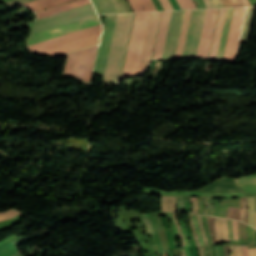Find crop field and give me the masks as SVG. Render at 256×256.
Masks as SVG:
<instances>
[{
    "label": "crop field",
    "instance_id": "obj_1",
    "mask_svg": "<svg viewBox=\"0 0 256 256\" xmlns=\"http://www.w3.org/2000/svg\"><path fill=\"white\" fill-rule=\"evenodd\" d=\"M134 13L117 14L103 85L120 79Z\"/></svg>",
    "mask_w": 256,
    "mask_h": 256
},
{
    "label": "crop field",
    "instance_id": "obj_2",
    "mask_svg": "<svg viewBox=\"0 0 256 256\" xmlns=\"http://www.w3.org/2000/svg\"><path fill=\"white\" fill-rule=\"evenodd\" d=\"M150 13H135L122 76L136 74Z\"/></svg>",
    "mask_w": 256,
    "mask_h": 256
},
{
    "label": "crop field",
    "instance_id": "obj_3",
    "mask_svg": "<svg viewBox=\"0 0 256 256\" xmlns=\"http://www.w3.org/2000/svg\"><path fill=\"white\" fill-rule=\"evenodd\" d=\"M92 3L80 6L65 12H61L49 17H45L30 23L28 26L32 29V33L59 26L68 22L82 19L95 15Z\"/></svg>",
    "mask_w": 256,
    "mask_h": 256
},
{
    "label": "crop field",
    "instance_id": "obj_4",
    "mask_svg": "<svg viewBox=\"0 0 256 256\" xmlns=\"http://www.w3.org/2000/svg\"><path fill=\"white\" fill-rule=\"evenodd\" d=\"M146 193L151 194H159L166 196H179V195H194V196H207V197H243L245 194L241 191V189L234 183L233 179L230 178H222L219 179L203 188H200L197 191L200 192H241L237 194H216V195H230V196H212L206 195L207 193H199V192H162L161 190H155L151 188H143Z\"/></svg>",
    "mask_w": 256,
    "mask_h": 256
},
{
    "label": "crop field",
    "instance_id": "obj_5",
    "mask_svg": "<svg viewBox=\"0 0 256 256\" xmlns=\"http://www.w3.org/2000/svg\"><path fill=\"white\" fill-rule=\"evenodd\" d=\"M96 48L97 46L69 54L64 73L73 74L89 82Z\"/></svg>",
    "mask_w": 256,
    "mask_h": 256
},
{
    "label": "crop field",
    "instance_id": "obj_6",
    "mask_svg": "<svg viewBox=\"0 0 256 256\" xmlns=\"http://www.w3.org/2000/svg\"><path fill=\"white\" fill-rule=\"evenodd\" d=\"M97 16L88 17L82 20H78L72 23H68L59 27H55L49 30H45L39 33L30 35L27 40L28 45L37 43L43 40H47L56 36H60L69 32H73L79 29H83L92 25L99 24Z\"/></svg>",
    "mask_w": 256,
    "mask_h": 256
},
{
    "label": "crop field",
    "instance_id": "obj_7",
    "mask_svg": "<svg viewBox=\"0 0 256 256\" xmlns=\"http://www.w3.org/2000/svg\"><path fill=\"white\" fill-rule=\"evenodd\" d=\"M206 10H193L183 57L196 56Z\"/></svg>",
    "mask_w": 256,
    "mask_h": 256
},
{
    "label": "crop field",
    "instance_id": "obj_8",
    "mask_svg": "<svg viewBox=\"0 0 256 256\" xmlns=\"http://www.w3.org/2000/svg\"><path fill=\"white\" fill-rule=\"evenodd\" d=\"M161 12H151L137 74H143L152 54Z\"/></svg>",
    "mask_w": 256,
    "mask_h": 256
},
{
    "label": "crop field",
    "instance_id": "obj_9",
    "mask_svg": "<svg viewBox=\"0 0 256 256\" xmlns=\"http://www.w3.org/2000/svg\"><path fill=\"white\" fill-rule=\"evenodd\" d=\"M185 11H173L162 59L169 60L175 56L179 34Z\"/></svg>",
    "mask_w": 256,
    "mask_h": 256
},
{
    "label": "crop field",
    "instance_id": "obj_10",
    "mask_svg": "<svg viewBox=\"0 0 256 256\" xmlns=\"http://www.w3.org/2000/svg\"><path fill=\"white\" fill-rule=\"evenodd\" d=\"M245 8H234L223 59L233 60L236 53Z\"/></svg>",
    "mask_w": 256,
    "mask_h": 256
},
{
    "label": "crop field",
    "instance_id": "obj_11",
    "mask_svg": "<svg viewBox=\"0 0 256 256\" xmlns=\"http://www.w3.org/2000/svg\"><path fill=\"white\" fill-rule=\"evenodd\" d=\"M116 14L107 15L94 74L103 76Z\"/></svg>",
    "mask_w": 256,
    "mask_h": 256
},
{
    "label": "crop field",
    "instance_id": "obj_12",
    "mask_svg": "<svg viewBox=\"0 0 256 256\" xmlns=\"http://www.w3.org/2000/svg\"><path fill=\"white\" fill-rule=\"evenodd\" d=\"M101 24L99 25H96V26H93V27H97V26H100ZM93 27H90V28H93ZM90 28H86V29H83V30H87V29H90ZM100 27H97V28H93V29H90V30H87V31H84V32H80V31H83V30H80V31H77V32H80V33H77V32H74V33H77V34H74V33H71V34H74V35H70V36H67V35H64V36H67V37H64V36H61V37H64V38H61V37H58V38H61V39H57V40H54V41H51V42H48V43H44V44H41V45H38V46H34V47H31V51L33 53H38V52H41V51H45V50H48V49H51V48H55V47H58V46H61V45H65V44H68V43H71V42H75V41H78V40H81V39H85V38H88V37H91V36H95V35H98L99 32H100ZM47 42V41H46Z\"/></svg>",
    "mask_w": 256,
    "mask_h": 256
},
{
    "label": "crop field",
    "instance_id": "obj_13",
    "mask_svg": "<svg viewBox=\"0 0 256 256\" xmlns=\"http://www.w3.org/2000/svg\"><path fill=\"white\" fill-rule=\"evenodd\" d=\"M218 9L207 10L197 56L208 57Z\"/></svg>",
    "mask_w": 256,
    "mask_h": 256
},
{
    "label": "crop field",
    "instance_id": "obj_14",
    "mask_svg": "<svg viewBox=\"0 0 256 256\" xmlns=\"http://www.w3.org/2000/svg\"><path fill=\"white\" fill-rule=\"evenodd\" d=\"M172 11L163 12L153 58L161 59Z\"/></svg>",
    "mask_w": 256,
    "mask_h": 256
},
{
    "label": "crop field",
    "instance_id": "obj_15",
    "mask_svg": "<svg viewBox=\"0 0 256 256\" xmlns=\"http://www.w3.org/2000/svg\"><path fill=\"white\" fill-rule=\"evenodd\" d=\"M98 37H99V35L95 36V37L85 39V40H82V41H79V42H75V43H72V44H69V45H66V46H63V47H59V48H56V49H53V50H50V51H47V52H43V53H40V54L57 56V55H61V54L68 53V52H71V51H75V50H78V49H82V48H85V47H89V46H92V45H96L97 42H98Z\"/></svg>",
    "mask_w": 256,
    "mask_h": 256
},
{
    "label": "crop field",
    "instance_id": "obj_16",
    "mask_svg": "<svg viewBox=\"0 0 256 256\" xmlns=\"http://www.w3.org/2000/svg\"><path fill=\"white\" fill-rule=\"evenodd\" d=\"M90 2H91L90 0H77V1L70 2V3L64 4V5H60V6H57L54 8H50V9H47L44 11L37 12L36 14L39 19V18L49 16V15H52V14H55V13H58V12H61L64 10H68V9H71V8H74V7H77L80 5H84V4H87Z\"/></svg>",
    "mask_w": 256,
    "mask_h": 256
},
{
    "label": "crop field",
    "instance_id": "obj_17",
    "mask_svg": "<svg viewBox=\"0 0 256 256\" xmlns=\"http://www.w3.org/2000/svg\"><path fill=\"white\" fill-rule=\"evenodd\" d=\"M227 218L240 220L247 223V199H240V208L229 207Z\"/></svg>",
    "mask_w": 256,
    "mask_h": 256
},
{
    "label": "crop field",
    "instance_id": "obj_18",
    "mask_svg": "<svg viewBox=\"0 0 256 256\" xmlns=\"http://www.w3.org/2000/svg\"><path fill=\"white\" fill-rule=\"evenodd\" d=\"M73 0H35L29 3L22 4L35 12L44 10L53 6H57L66 2H70Z\"/></svg>",
    "mask_w": 256,
    "mask_h": 256
},
{
    "label": "crop field",
    "instance_id": "obj_19",
    "mask_svg": "<svg viewBox=\"0 0 256 256\" xmlns=\"http://www.w3.org/2000/svg\"><path fill=\"white\" fill-rule=\"evenodd\" d=\"M233 8L227 9L216 58L222 59Z\"/></svg>",
    "mask_w": 256,
    "mask_h": 256
},
{
    "label": "crop field",
    "instance_id": "obj_20",
    "mask_svg": "<svg viewBox=\"0 0 256 256\" xmlns=\"http://www.w3.org/2000/svg\"><path fill=\"white\" fill-rule=\"evenodd\" d=\"M213 221V230L216 241H225L228 240L227 229H226V220L223 218H214Z\"/></svg>",
    "mask_w": 256,
    "mask_h": 256
},
{
    "label": "crop field",
    "instance_id": "obj_21",
    "mask_svg": "<svg viewBox=\"0 0 256 256\" xmlns=\"http://www.w3.org/2000/svg\"><path fill=\"white\" fill-rule=\"evenodd\" d=\"M226 9H220L209 58H215Z\"/></svg>",
    "mask_w": 256,
    "mask_h": 256
},
{
    "label": "crop field",
    "instance_id": "obj_22",
    "mask_svg": "<svg viewBox=\"0 0 256 256\" xmlns=\"http://www.w3.org/2000/svg\"><path fill=\"white\" fill-rule=\"evenodd\" d=\"M191 12H192V10H189V11H186V13H185V17H184V21H183V26H182L181 35H180V39H179L178 48H177L175 58L181 57V55H182V51H183V47H184V42H185V38H186V33H187L188 25H189Z\"/></svg>",
    "mask_w": 256,
    "mask_h": 256
},
{
    "label": "crop field",
    "instance_id": "obj_23",
    "mask_svg": "<svg viewBox=\"0 0 256 256\" xmlns=\"http://www.w3.org/2000/svg\"><path fill=\"white\" fill-rule=\"evenodd\" d=\"M254 9L255 7L247 8L240 42L248 41L252 20H253Z\"/></svg>",
    "mask_w": 256,
    "mask_h": 256
},
{
    "label": "crop field",
    "instance_id": "obj_24",
    "mask_svg": "<svg viewBox=\"0 0 256 256\" xmlns=\"http://www.w3.org/2000/svg\"><path fill=\"white\" fill-rule=\"evenodd\" d=\"M134 12L155 11L152 0H128Z\"/></svg>",
    "mask_w": 256,
    "mask_h": 256
},
{
    "label": "crop field",
    "instance_id": "obj_25",
    "mask_svg": "<svg viewBox=\"0 0 256 256\" xmlns=\"http://www.w3.org/2000/svg\"><path fill=\"white\" fill-rule=\"evenodd\" d=\"M239 239L255 241V229L238 222Z\"/></svg>",
    "mask_w": 256,
    "mask_h": 256
},
{
    "label": "crop field",
    "instance_id": "obj_26",
    "mask_svg": "<svg viewBox=\"0 0 256 256\" xmlns=\"http://www.w3.org/2000/svg\"><path fill=\"white\" fill-rule=\"evenodd\" d=\"M93 2L99 14L116 13L110 0H93Z\"/></svg>",
    "mask_w": 256,
    "mask_h": 256
},
{
    "label": "crop field",
    "instance_id": "obj_27",
    "mask_svg": "<svg viewBox=\"0 0 256 256\" xmlns=\"http://www.w3.org/2000/svg\"><path fill=\"white\" fill-rule=\"evenodd\" d=\"M248 199V224L252 225L254 227V221H255V201L254 197H247Z\"/></svg>",
    "mask_w": 256,
    "mask_h": 256
},
{
    "label": "crop field",
    "instance_id": "obj_28",
    "mask_svg": "<svg viewBox=\"0 0 256 256\" xmlns=\"http://www.w3.org/2000/svg\"><path fill=\"white\" fill-rule=\"evenodd\" d=\"M118 13L131 12L126 0H111Z\"/></svg>",
    "mask_w": 256,
    "mask_h": 256
},
{
    "label": "crop field",
    "instance_id": "obj_29",
    "mask_svg": "<svg viewBox=\"0 0 256 256\" xmlns=\"http://www.w3.org/2000/svg\"><path fill=\"white\" fill-rule=\"evenodd\" d=\"M188 219H189V223H190V227H191L192 234H193V236H194V239H195V242H196V245H197V249H198V252H199V256H204L202 247L200 246V243H199L198 235H197V233L195 232L194 226H193V224H192V218H191V215H190V214H188Z\"/></svg>",
    "mask_w": 256,
    "mask_h": 256
},
{
    "label": "crop field",
    "instance_id": "obj_30",
    "mask_svg": "<svg viewBox=\"0 0 256 256\" xmlns=\"http://www.w3.org/2000/svg\"><path fill=\"white\" fill-rule=\"evenodd\" d=\"M17 214H21V213L17 212L14 209L8 210L5 212H1L0 213V221L11 219V218L15 217V215H17Z\"/></svg>",
    "mask_w": 256,
    "mask_h": 256
},
{
    "label": "crop field",
    "instance_id": "obj_31",
    "mask_svg": "<svg viewBox=\"0 0 256 256\" xmlns=\"http://www.w3.org/2000/svg\"><path fill=\"white\" fill-rule=\"evenodd\" d=\"M181 9H194L196 8L193 0H177Z\"/></svg>",
    "mask_w": 256,
    "mask_h": 256
},
{
    "label": "crop field",
    "instance_id": "obj_32",
    "mask_svg": "<svg viewBox=\"0 0 256 256\" xmlns=\"http://www.w3.org/2000/svg\"><path fill=\"white\" fill-rule=\"evenodd\" d=\"M244 193H255L256 192V184H237Z\"/></svg>",
    "mask_w": 256,
    "mask_h": 256
},
{
    "label": "crop field",
    "instance_id": "obj_33",
    "mask_svg": "<svg viewBox=\"0 0 256 256\" xmlns=\"http://www.w3.org/2000/svg\"><path fill=\"white\" fill-rule=\"evenodd\" d=\"M236 183L256 182V175H248L234 179Z\"/></svg>",
    "mask_w": 256,
    "mask_h": 256
},
{
    "label": "crop field",
    "instance_id": "obj_34",
    "mask_svg": "<svg viewBox=\"0 0 256 256\" xmlns=\"http://www.w3.org/2000/svg\"><path fill=\"white\" fill-rule=\"evenodd\" d=\"M142 216H143V219H144V222H145V226L147 228L148 235L154 234L155 232L152 228L149 216L148 215H142Z\"/></svg>",
    "mask_w": 256,
    "mask_h": 256
},
{
    "label": "crop field",
    "instance_id": "obj_35",
    "mask_svg": "<svg viewBox=\"0 0 256 256\" xmlns=\"http://www.w3.org/2000/svg\"><path fill=\"white\" fill-rule=\"evenodd\" d=\"M180 224H181V229H182V231H183V235H184V237H185V239H186V242H187V247L184 248V249H185V252H186V255H187V256H191V254H190L189 242H188V237H187V233H186V229H185V226H184L183 221H181Z\"/></svg>",
    "mask_w": 256,
    "mask_h": 256
},
{
    "label": "crop field",
    "instance_id": "obj_36",
    "mask_svg": "<svg viewBox=\"0 0 256 256\" xmlns=\"http://www.w3.org/2000/svg\"><path fill=\"white\" fill-rule=\"evenodd\" d=\"M207 8H216V7H222L219 0H204Z\"/></svg>",
    "mask_w": 256,
    "mask_h": 256
},
{
    "label": "crop field",
    "instance_id": "obj_37",
    "mask_svg": "<svg viewBox=\"0 0 256 256\" xmlns=\"http://www.w3.org/2000/svg\"><path fill=\"white\" fill-rule=\"evenodd\" d=\"M172 214H173L174 220H175V222L177 224V227H178V231H179V235H180V240H181V245H182V247H184L185 246V242H184V239H183V236H182V232H181L179 223H178L177 218H176V214L175 213H172Z\"/></svg>",
    "mask_w": 256,
    "mask_h": 256
},
{
    "label": "crop field",
    "instance_id": "obj_38",
    "mask_svg": "<svg viewBox=\"0 0 256 256\" xmlns=\"http://www.w3.org/2000/svg\"><path fill=\"white\" fill-rule=\"evenodd\" d=\"M197 218H198V222H199V226H200V230H201V233H202L204 244L208 245L207 239H206V236H205V233H204V229H203V226H202L201 216H197Z\"/></svg>",
    "mask_w": 256,
    "mask_h": 256
},
{
    "label": "crop field",
    "instance_id": "obj_39",
    "mask_svg": "<svg viewBox=\"0 0 256 256\" xmlns=\"http://www.w3.org/2000/svg\"><path fill=\"white\" fill-rule=\"evenodd\" d=\"M29 1H32V0H13V1L6 2V4L13 7V6H16V5L25 3V2H29Z\"/></svg>",
    "mask_w": 256,
    "mask_h": 256
},
{
    "label": "crop field",
    "instance_id": "obj_40",
    "mask_svg": "<svg viewBox=\"0 0 256 256\" xmlns=\"http://www.w3.org/2000/svg\"><path fill=\"white\" fill-rule=\"evenodd\" d=\"M202 220H203L206 236H207V239H208V243L212 244L211 239H210V235H209V231H208V227H207L206 217L202 216Z\"/></svg>",
    "mask_w": 256,
    "mask_h": 256
},
{
    "label": "crop field",
    "instance_id": "obj_41",
    "mask_svg": "<svg viewBox=\"0 0 256 256\" xmlns=\"http://www.w3.org/2000/svg\"><path fill=\"white\" fill-rule=\"evenodd\" d=\"M168 199H169V197L163 196V198H162V211H169Z\"/></svg>",
    "mask_w": 256,
    "mask_h": 256
},
{
    "label": "crop field",
    "instance_id": "obj_42",
    "mask_svg": "<svg viewBox=\"0 0 256 256\" xmlns=\"http://www.w3.org/2000/svg\"><path fill=\"white\" fill-rule=\"evenodd\" d=\"M206 202H207V209H206L205 215H211V213H212V200H211V198H207Z\"/></svg>",
    "mask_w": 256,
    "mask_h": 256
},
{
    "label": "crop field",
    "instance_id": "obj_43",
    "mask_svg": "<svg viewBox=\"0 0 256 256\" xmlns=\"http://www.w3.org/2000/svg\"><path fill=\"white\" fill-rule=\"evenodd\" d=\"M164 10H173L169 0H160Z\"/></svg>",
    "mask_w": 256,
    "mask_h": 256
},
{
    "label": "crop field",
    "instance_id": "obj_44",
    "mask_svg": "<svg viewBox=\"0 0 256 256\" xmlns=\"http://www.w3.org/2000/svg\"><path fill=\"white\" fill-rule=\"evenodd\" d=\"M192 217H193L195 229H196V231L198 232V235H199L200 243H201V245H204L203 242H202V237H201V233H200V230H199L197 221H196V217H195V215H193V214H192Z\"/></svg>",
    "mask_w": 256,
    "mask_h": 256
},
{
    "label": "crop field",
    "instance_id": "obj_45",
    "mask_svg": "<svg viewBox=\"0 0 256 256\" xmlns=\"http://www.w3.org/2000/svg\"><path fill=\"white\" fill-rule=\"evenodd\" d=\"M227 229H228L229 240H234L232 227H231V220H227Z\"/></svg>",
    "mask_w": 256,
    "mask_h": 256
},
{
    "label": "crop field",
    "instance_id": "obj_46",
    "mask_svg": "<svg viewBox=\"0 0 256 256\" xmlns=\"http://www.w3.org/2000/svg\"><path fill=\"white\" fill-rule=\"evenodd\" d=\"M176 198L177 197H170V211H175L176 209Z\"/></svg>",
    "mask_w": 256,
    "mask_h": 256
},
{
    "label": "crop field",
    "instance_id": "obj_47",
    "mask_svg": "<svg viewBox=\"0 0 256 256\" xmlns=\"http://www.w3.org/2000/svg\"><path fill=\"white\" fill-rule=\"evenodd\" d=\"M207 222H208V227H209L211 239H212L213 243L216 244L215 238H214L213 232H212V227H211V217H207Z\"/></svg>",
    "mask_w": 256,
    "mask_h": 256
},
{
    "label": "crop field",
    "instance_id": "obj_48",
    "mask_svg": "<svg viewBox=\"0 0 256 256\" xmlns=\"http://www.w3.org/2000/svg\"><path fill=\"white\" fill-rule=\"evenodd\" d=\"M184 196L178 197V211H183Z\"/></svg>",
    "mask_w": 256,
    "mask_h": 256
},
{
    "label": "crop field",
    "instance_id": "obj_49",
    "mask_svg": "<svg viewBox=\"0 0 256 256\" xmlns=\"http://www.w3.org/2000/svg\"><path fill=\"white\" fill-rule=\"evenodd\" d=\"M232 7H239V6H243L241 0H229Z\"/></svg>",
    "mask_w": 256,
    "mask_h": 256
},
{
    "label": "crop field",
    "instance_id": "obj_50",
    "mask_svg": "<svg viewBox=\"0 0 256 256\" xmlns=\"http://www.w3.org/2000/svg\"><path fill=\"white\" fill-rule=\"evenodd\" d=\"M233 230H234V238L238 239L237 237V222L233 220Z\"/></svg>",
    "mask_w": 256,
    "mask_h": 256
},
{
    "label": "crop field",
    "instance_id": "obj_51",
    "mask_svg": "<svg viewBox=\"0 0 256 256\" xmlns=\"http://www.w3.org/2000/svg\"><path fill=\"white\" fill-rule=\"evenodd\" d=\"M15 237L16 236L11 235V236H8V237L4 238L3 240L0 241V245L5 243V242H7V241H9V240H11V239H13V238H15Z\"/></svg>",
    "mask_w": 256,
    "mask_h": 256
},
{
    "label": "crop field",
    "instance_id": "obj_52",
    "mask_svg": "<svg viewBox=\"0 0 256 256\" xmlns=\"http://www.w3.org/2000/svg\"><path fill=\"white\" fill-rule=\"evenodd\" d=\"M236 256H242L241 246L236 245Z\"/></svg>",
    "mask_w": 256,
    "mask_h": 256
},
{
    "label": "crop field",
    "instance_id": "obj_53",
    "mask_svg": "<svg viewBox=\"0 0 256 256\" xmlns=\"http://www.w3.org/2000/svg\"><path fill=\"white\" fill-rule=\"evenodd\" d=\"M192 212L193 213L197 212V201H192Z\"/></svg>",
    "mask_w": 256,
    "mask_h": 256
},
{
    "label": "crop field",
    "instance_id": "obj_54",
    "mask_svg": "<svg viewBox=\"0 0 256 256\" xmlns=\"http://www.w3.org/2000/svg\"><path fill=\"white\" fill-rule=\"evenodd\" d=\"M168 214H169V217H170V219H171V222H172V224H173V226H174V228H175V231H176V235H177V237H179V236H178V231H177V228H176V226H175V224H174V220H173V217H172L171 213H168Z\"/></svg>",
    "mask_w": 256,
    "mask_h": 256
},
{
    "label": "crop field",
    "instance_id": "obj_55",
    "mask_svg": "<svg viewBox=\"0 0 256 256\" xmlns=\"http://www.w3.org/2000/svg\"><path fill=\"white\" fill-rule=\"evenodd\" d=\"M217 254H218V256H223V251H222V247L221 246L217 247Z\"/></svg>",
    "mask_w": 256,
    "mask_h": 256
},
{
    "label": "crop field",
    "instance_id": "obj_56",
    "mask_svg": "<svg viewBox=\"0 0 256 256\" xmlns=\"http://www.w3.org/2000/svg\"><path fill=\"white\" fill-rule=\"evenodd\" d=\"M210 250H211V255L212 256H217V254H216V246L215 247H211Z\"/></svg>",
    "mask_w": 256,
    "mask_h": 256
},
{
    "label": "crop field",
    "instance_id": "obj_57",
    "mask_svg": "<svg viewBox=\"0 0 256 256\" xmlns=\"http://www.w3.org/2000/svg\"><path fill=\"white\" fill-rule=\"evenodd\" d=\"M221 1L223 3L224 7H231V5H230L228 0H221Z\"/></svg>",
    "mask_w": 256,
    "mask_h": 256
},
{
    "label": "crop field",
    "instance_id": "obj_58",
    "mask_svg": "<svg viewBox=\"0 0 256 256\" xmlns=\"http://www.w3.org/2000/svg\"><path fill=\"white\" fill-rule=\"evenodd\" d=\"M231 256H235V245L230 246Z\"/></svg>",
    "mask_w": 256,
    "mask_h": 256
},
{
    "label": "crop field",
    "instance_id": "obj_59",
    "mask_svg": "<svg viewBox=\"0 0 256 256\" xmlns=\"http://www.w3.org/2000/svg\"><path fill=\"white\" fill-rule=\"evenodd\" d=\"M243 256H248L247 247H243Z\"/></svg>",
    "mask_w": 256,
    "mask_h": 256
},
{
    "label": "crop field",
    "instance_id": "obj_60",
    "mask_svg": "<svg viewBox=\"0 0 256 256\" xmlns=\"http://www.w3.org/2000/svg\"><path fill=\"white\" fill-rule=\"evenodd\" d=\"M205 256H210L209 248H204Z\"/></svg>",
    "mask_w": 256,
    "mask_h": 256
},
{
    "label": "crop field",
    "instance_id": "obj_61",
    "mask_svg": "<svg viewBox=\"0 0 256 256\" xmlns=\"http://www.w3.org/2000/svg\"><path fill=\"white\" fill-rule=\"evenodd\" d=\"M242 2H243V4H244V6H250L248 0H242Z\"/></svg>",
    "mask_w": 256,
    "mask_h": 256
},
{
    "label": "crop field",
    "instance_id": "obj_62",
    "mask_svg": "<svg viewBox=\"0 0 256 256\" xmlns=\"http://www.w3.org/2000/svg\"><path fill=\"white\" fill-rule=\"evenodd\" d=\"M249 256H254V249L253 250H249Z\"/></svg>",
    "mask_w": 256,
    "mask_h": 256
},
{
    "label": "crop field",
    "instance_id": "obj_63",
    "mask_svg": "<svg viewBox=\"0 0 256 256\" xmlns=\"http://www.w3.org/2000/svg\"><path fill=\"white\" fill-rule=\"evenodd\" d=\"M18 255H20V254L18 252H16V253L12 254L11 256H18Z\"/></svg>",
    "mask_w": 256,
    "mask_h": 256
},
{
    "label": "crop field",
    "instance_id": "obj_64",
    "mask_svg": "<svg viewBox=\"0 0 256 256\" xmlns=\"http://www.w3.org/2000/svg\"><path fill=\"white\" fill-rule=\"evenodd\" d=\"M182 252H183V255H181V256H185V253H184V250L182 249Z\"/></svg>",
    "mask_w": 256,
    "mask_h": 256
},
{
    "label": "crop field",
    "instance_id": "obj_65",
    "mask_svg": "<svg viewBox=\"0 0 256 256\" xmlns=\"http://www.w3.org/2000/svg\"><path fill=\"white\" fill-rule=\"evenodd\" d=\"M164 253H165V255H163V256H167L165 251H164Z\"/></svg>",
    "mask_w": 256,
    "mask_h": 256
},
{
    "label": "crop field",
    "instance_id": "obj_66",
    "mask_svg": "<svg viewBox=\"0 0 256 256\" xmlns=\"http://www.w3.org/2000/svg\"><path fill=\"white\" fill-rule=\"evenodd\" d=\"M255 256H256V248H255Z\"/></svg>",
    "mask_w": 256,
    "mask_h": 256
},
{
    "label": "crop field",
    "instance_id": "obj_67",
    "mask_svg": "<svg viewBox=\"0 0 256 256\" xmlns=\"http://www.w3.org/2000/svg\"><path fill=\"white\" fill-rule=\"evenodd\" d=\"M255 228H256V221H255Z\"/></svg>",
    "mask_w": 256,
    "mask_h": 256
}]
</instances>
